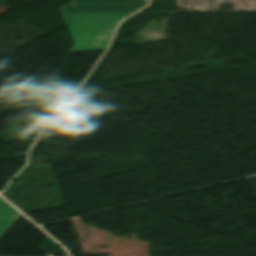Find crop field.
Masks as SVG:
<instances>
[{"mask_svg": "<svg viewBox=\"0 0 256 256\" xmlns=\"http://www.w3.org/2000/svg\"><path fill=\"white\" fill-rule=\"evenodd\" d=\"M20 216L21 215L0 219V239L11 228V226L18 220Z\"/></svg>", "mask_w": 256, "mask_h": 256, "instance_id": "crop-field-3", "label": "crop field"}, {"mask_svg": "<svg viewBox=\"0 0 256 256\" xmlns=\"http://www.w3.org/2000/svg\"><path fill=\"white\" fill-rule=\"evenodd\" d=\"M148 0H71L72 5L60 6L61 13L70 12H135Z\"/></svg>", "mask_w": 256, "mask_h": 256, "instance_id": "crop-field-2", "label": "crop field"}, {"mask_svg": "<svg viewBox=\"0 0 256 256\" xmlns=\"http://www.w3.org/2000/svg\"><path fill=\"white\" fill-rule=\"evenodd\" d=\"M131 13L62 14L75 41L71 52L105 49L118 22Z\"/></svg>", "mask_w": 256, "mask_h": 256, "instance_id": "crop-field-1", "label": "crop field"}, {"mask_svg": "<svg viewBox=\"0 0 256 256\" xmlns=\"http://www.w3.org/2000/svg\"><path fill=\"white\" fill-rule=\"evenodd\" d=\"M4 200L0 198V204L3 202Z\"/></svg>", "mask_w": 256, "mask_h": 256, "instance_id": "crop-field-5", "label": "crop field"}, {"mask_svg": "<svg viewBox=\"0 0 256 256\" xmlns=\"http://www.w3.org/2000/svg\"><path fill=\"white\" fill-rule=\"evenodd\" d=\"M20 214L17 210H15L11 205L7 202H4L0 207V217L12 216Z\"/></svg>", "mask_w": 256, "mask_h": 256, "instance_id": "crop-field-4", "label": "crop field"}]
</instances>
